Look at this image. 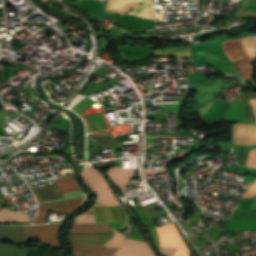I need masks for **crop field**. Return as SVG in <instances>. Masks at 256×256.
I'll return each mask as SVG.
<instances>
[{"instance_id":"obj_1","label":"crop field","mask_w":256,"mask_h":256,"mask_svg":"<svg viewBox=\"0 0 256 256\" xmlns=\"http://www.w3.org/2000/svg\"><path fill=\"white\" fill-rule=\"evenodd\" d=\"M111 229V228H110ZM107 224H73L69 233H111ZM112 234H69L71 244H104Z\"/></svg>"},{"instance_id":"obj_2","label":"crop field","mask_w":256,"mask_h":256,"mask_svg":"<svg viewBox=\"0 0 256 256\" xmlns=\"http://www.w3.org/2000/svg\"><path fill=\"white\" fill-rule=\"evenodd\" d=\"M224 52L228 58L233 61L248 56L250 62V55L243 44V40H227L222 42ZM247 58L241 59L235 63L236 67L241 71L245 79H253V69L251 63Z\"/></svg>"},{"instance_id":"obj_3","label":"crop field","mask_w":256,"mask_h":256,"mask_svg":"<svg viewBox=\"0 0 256 256\" xmlns=\"http://www.w3.org/2000/svg\"><path fill=\"white\" fill-rule=\"evenodd\" d=\"M129 1H134L142 4H151L150 0H129ZM129 1L109 0L106 5V11L122 15L132 9H135V11L130 14L155 20L152 6L141 5V4L129 2Z\"/></svg>"},{"instance_id":"obj_4","label":"crop field","mask_w":256,"mask_h":256,"mask_svg":"<svg viewBox=\"0 0 256 256\" xmlns=\"http://www.w3.org/2000/svg\"><path fill=\"white\" fill-rule=\"evenodd\" d=\"M102 205H119L104 177L92 167L85 171Z\"/></svg>"},{"instance_id":"obj_5","label":"crop field","mask_w":256,"mask_h":256,"mask_svg":"<svg viewBox=\"0 0 256 256\" xmlns=\"http://www.w3.org/2000/svg\"><path fill=\"white\" fill-rule=\"evenodd\" d=\"M160 238V247H175L188 250L174 224L156 227ZM189 251V250H188Z\"/></svg>"},{"instance_id":"obj_6","label":"crop field","mask_w":256,"mask_h":256,"mask_svg":"<svg viewBox=\"0 0 256 256\" xmlns=\"http://www.w3.org/2000/svg\"><path fill=\"white\" fill-rule=\"evenodd\" d=\"M83 197L61 201L57 203L47 204L40 206L39 210V217L33 224L43 223L48 210L55 211V212H67L75 210L82 202Z\"/></svg>"},{"instance_id":"obj_7","label":"crop field","mask_w":256,"mask_h":256,"mask_svg":"<svg viewBox=\"0 0 256 256\" xmlns=\"http://www.w3.org/2000/svg\"><path fill=\"white\" fill-rule=\"evenodd\" d=\"M74 256H112L118 247L106 248L105 245H72Z\"/></svg>"},{"instance_id":"obj_8","label":"crop field","mask_w":256,"mask_h":256,"mask_svg":"<svg viewBox=\"0 0 256 256\" xmlns=\"http://www.w3.org/2000/svg\"><path fill=\"white\" fill-rule=\"evenodd\" d=\"M96 223L120 221L127 225L126 216L120 207L95 208Z\"/></svg>"},{"instance_id":"obj_9","label":"crop field","mask_w":256,"mask_h":256,"mask_svg":"<svg viewBox=\"0 0 256 256\" xmlns=\"http://www.w3.org/2000/svg\"><path fill=\"white\" fill-rule=\"evenodd\" d=\"M248 124L233 126V144H247ZM248 144H256V125L249 124Z\"/></svg>"},{"instance_id":"obj_10","label":"crop field","mask_w":256,"mask_h":256,"mask_svg":"<svg viewBox=\"0 0 256 256\" xmlns=\"http://www.w3.org/2000/svg\"><path fill=\"white\" fill-rule=\"evenodd\" d=\"M62 224L36 226L37 240L60 248L58 232Z\"/></svg>"},{"instance_id":"obj_11","label":"crop field","mask_w":256,"mask_h":256,"mask_svg":"<svg viewBox=\"0 0 256 256\" xmlns=\"http://www.w3.org/2000/svg\"><path fill=\"white\" fill-rule=\"evenodd\" d=\"M135 171L136 170L120 169V167H117V168H110L107 174L109 175L113 184L118 188V190L123 195L124 188L127 185L130 178L135 173Z\"/></svg>"},{"instance_id":"obj_12","label":"crop field","mask_w":256,"mask_h":256,"mask_svg":"<svg viewBox=\"0 0 256 256\" xmlns=\"http://www.w3.org/2000/svg\"><path fill=\"white\" fill-rule=\"evenodd\" d=\"M0 240L8 241L17 246H23L22 226H0Z\"/></svg>"},{"instance_id":"obj_13","label":"crop field","mask_w":256,"mask_h":256,"mask_svg":"<svg viewBox=\"0 0 256 256\" xmlns=\"http://www.w3.org/2000/svg\"><path fill=\"white\" fill-rule=\"evenodd\" d=\"M38 203L63 198L58 184L32 189Z\"/></svg>"},{"instance_id":"obj_14","label":"crop field","mask_w":256,"mask_h":256,"mask_svg":"<svg viewBox=\"0 0 256 256\" xmlns=\"http://www.w3.org/2000/svg\"><path fill=\"white\" fill-rule=\"evenodd\" d=\"M192 57H196L199 59H203L208 62H212L218 66H220L225 72L229 73H237L238 72L235 70L233 64L213 55L208 52H200V51H191Z\"/></svg>"},{"instance_id":"obj_15","label":"crop field","mask_w":256,"mask_h":256,"mask_svg":"<svg viewBox=\"0 0 256 256\" xmlns=\"http://www.w3.org/2000/svg\"><path fill=\"white\" fill-rule=\"evenodd\" d=\"M0 222H29V215L4 208L0 211Z\"/></svg>"},{"instance_id":"obj_16","label":"crop field","mask_w":256,"mask_h":256,"mask_svg":"<svg viewBox=\"0 0 256 256\" xmlns=\"http://www.w3.org/2000/svg\"><path fill=\"white\" fill-rule=\"evenodd\" d=\"M56 180L63 193L80 190L74 177L68 178V179L63 177V178H58Z\"/></svg>"},{"instance_id":"obj_17","label":"crop field","mask_w":256,"mask_h":256,"mask_svg":"<svg viewBox=\"0 0 256 256\" xmlns=\"http://www.w3.org/2000/svg\"><path fill=\"white\" fill-rule=\"evenodd\" d=\"M28 248H15L0 244V256H25Z\"/></svg>"},{"instance_id":"obj_18","label":"crop field","mask_w":256,"mask_h":256,"mask_svg":"<svg viewBox=\"0 0 256 256\" xmlns=\"http://www.w3.org/2000/svg\"><path fill=\"white\" fill-rule=\"evenodd\" d=\"M229 228H256V219H231Z\"/></svg>"},{"instance_id":"obj_19","label":"crop field","mask_w":256,"mask_h":256,"mask_svg":"<svg viewBox=\"0 0 256 256\" xmlns=\"http://www.w3.org/2000/svg\"><path fill=\"white\" fill-rule=\"evenodd\" d=\"M117 252H120L122 254L128 255V256H156L154 254L139 250L137 248L128 246L123 244Z\"/></svg>"},{"instance_id":"obj_20","label":"crop field","mask_w":256,"mask_h":256,"mask_svg":"<svg viewBox=\"0 0 256 256\" xmlns=\"http://www.w3.org/2000/svg\"><path fill=\"white\" fill-rule=\"evenodd\" d=\"M224 118H242L240 102H232Z\"/></svg>"},{"instance_id":"obj_21","label":"crop field","mask_w":256,"mask_h":256,"mask_svg":"<svg viewBox=\"0 0 256 256\" xmlns=\"http://www.w3.org/2000/svg\"><path fill=\"white\" fill-rule=\"evenodd\" d=\"M113 229V228H112ZM114 236L112 239H110L109 241H107L105 243L106 247H113V246H120L121 243L124 241L125 236L121 235L120 233H118L116 230H114Z\"/></svg>"},{"instance_id":"obj_22","label":"crop field","mask_w":256,"mask_h":256,"mask_svg":"<svg viewBox=\"0 0 256 256\" xmlns=\"http://www.w3.org/2000/svg\"><path fill=\"white\" fill-rule=\"evenodd\" d=\"M125 244H128V245H131V246H134V247H137V248H140L142 250H145V251H148V252H151V253H154L151 248L148 246L147 243H144V242H140V241H136V240H132V239H126L125 241ZM155 254V253H154Z\"/></svg>"},{"instance_id":"obj_23","label":"crop field","mask_w":256,"mask_h":256,"mask_svg":"<svg viewBox=\"0 0 256 256\" xmlns=\"http://www.w3.org/2000/svg\"><path fill=\"white\" fill-rule=\"evenodd\" d=\"M97 144L111 145V144H121L116 138L112 137H97L93 136Z\"/></svg>"},{"instance_id":"obj_24","label":"crop field","mask_w":256,"mask_h":256,"mask_svg":"<svg viewBox=\"0 0 256 256\" xmlns=\"http://www.w3.org/2000/svg\"><path fill=\"white\" fill-rule=\"evenodd\" d=\"M241 103L244 106L247 122L254 123L253 112H252V108H251L249 101L243 100V101H241Z\"/></svg>"},{"instance_id":"obj_25","label":"crop field","mask_w":256,"mask_h":256,"mask_svg":"<svg viewBox=\"0 0 256 256\" xmlns=\"http://www.w3.org/2000/svg\"><path fill=\"white\" fill-rule=\"evenodd\" d=\"M25 240H36L35 226H23Z\"/></svg>"},{"instance_id":"obj_26","label":"crop field","mask_w":256,"mask_h":256,"mask_svg":"<svg viewBox=\"0 0 256 256\" xmlns=\"http://www.w3.org/2000/svg\"><path fill=\"white\" fill-rule=\"evenodd\" d=\"M73 223H94L93 215H78Z\"/></svg>"},{"instance_id":"obj_27","label":"crop field","mask_w":256,"mask_h":256,"mask_svg":"<svg viewBox=\"0 0 256 256\" xmlns=\"http://www.w3.org/2000/svg\"><path fill=\"white\" fill-rule=\"evenodd\" d=\"M139 209L146 211L149 214L150 218L159 214L152 203L145 205L143 207H140Z\"/></svg>"},{"instance_id":"obj_28","label":"crop field","mask_w":256,"mask_h":256,"mask_svg":"<svg viewBox=\"0 0 256 256\" xmlns=\"http://www.w3.org/2000/svg\"><path fill=\"white\" fill-rule=\"evenodd\" d=\"M246 166L256 168V150L250 151Z\"/></svg>"},{"instance_id":"obj_29","label":"crop field","mask_w":256,"mask_h":256,"mask_svg":"<svg viewBox=\"0 0 256 256\" xmlns=\"http://www.w3.org/2000/svg\"><path fill=\"white\" fill-rule=\"evenodd\" d=\"M147 230L149 231V233L154 241V244L158 250L159 249V238H158V234L155 230V227H148Z\"/></svg>"},{"instance_id":"obj_30","label":"crop field","mask_w":256,"mask_h":256,"mask_svg":"<svg viewBox=\"0 0 256 256\" xmlns=\"http://www.w3.org/2000/svg\"><path fill=\"white\" fill-rule=\"evenodd\" d=\"M63 196H64V199L76 198V197L83 196V192L78 191V192L66 193V194H63ZM64 199H61V200H64ZM56 201H60V200H56ZM51 202H55V201H51ZM46 203H50V202H46ZM46 203H41V204H46Z\"/></svg>"},{"instance_id":"obj_31","label":"crop field","mask_w":256,"mask_h":256,"mask_svg":"<svg viewBox=\"0 0 256 256\" xmlns=\"http://www.w3.org/2000/svg\"><path fill=\"white\" fill-rule=\"evenodd\" d=\"M255 195H256V182L249 187V189L244 194L243 198L254 197Z\"/></svg>"},{"instance_id":"obj_32","label":"crop field","mask_w":256,"mask_h":256,"mask_svg":"<svg viewBox=\"0 0 256 256\" xmlns=\"http://www.w3.org/2000/svg\"><path fill=\"white\" fill-rule=\"evenodd\" d=\"M175 251V248H161L159 253L162 254L163 256H173Z\"/></svg>"},{"instance_id":"obj_33","label":"crop field","mask_w":256,"mask_h":256,"mask_svg":"<svg viewBox=\"0 0 256 256\" xmlns=\"http://www.w3.org/2000/svg\"><path fill=\"white\" fill-rule=\"evenodd\" d=\"M146 136H187L186 133L146 134Z\"/></svg>"},{"instance_id":"obj_34","label":"crop field","mask_w":256,"mask_h":256,"mask_svg":"<svg viewBox=\"0 0 256 256\" xmlns=\"http://www.w3.org/2000/svg\"><path fill=\"white\" fill-rule=\"evenodd\" d=\"M40 249L38 248H29L26 256H38Z\"/></svg>"},{"instance_id":"obj_35","label":"crop field","mask_w":256,"mask_h":256,"mask_svg":"<svg viewBox=\"0 0 256 256\" xmlns=\"http://www.w3.org/2000/svg\"><path fill=\"white\" fill-rule=\"evenodd\" d=\"M167 170L166 168H161V169H157V170H153V171H149V170H142V175H149V174H153V173H157V172H161V171H165Z\"/></svg>"},{"instance_id":"obj_36","label":"crop field","mask_w":256,"mask_h":256,"mask_svg":"<svg viewBox=\"0 0 256 256\" xmlns=\"http://www.w3.org/2000/svg\"><path fill=\"white\" fill-rule=\"evenodd\" d=\"M188 253V252H187ZM186 252L177 249L176 253L174 254V256H189V254H187Z\"/></svg>"},{"instance_id":"obj_37","label":"crop field","mask_w":256,"mask_h":256,"mask_svg":"<svg viewBox=\"0 0 256 256\" xmlns=\"http://www.w3.org/2000/svg\"><path fill=\"white\" fill-rule=\"evenodd\" d=\"M252 107H253V112H254V115H255V119H256V99H252V100H249Z\"/></svg>"},{"instance_id":"obj_38","label":"crop field","mask_w":256,"mask_h":256,"mask_svg":"<svg viewBox=\"0 0 256 256\" xmlns=\"http://www.w3.org/2000/svg\"><path fill=\"white\" fill-rule=\"evenodd\" d=\"M250 97H256V93H243L242 95V99Z\"/></svg>"},{"instance_id":"obj_39","label":"crop field","mask_w":256,"mask_h":256,"mask_svg":"<svg viewBox=\"0 0 256 256\" xmlns=\"http://www.w3.org/2000/svg\"><path fill=\"white\" fill-rule=\"evenodd\" d=\"M256 9V5H246L242 10Z\"/></svg>"},{"instance_id":"obj_40","label":"crop field","mask_w":256,"mask_h":256,"mask_svg":"<svg viewBox=\"0 0 256 256\" xmlns=\"http://www.w3.org/2000/svg\"><path fill=\"white\" fill-rule=\"evenodd\" d=\"M251 207H256V197H255V199H254L253 204H252Z\"/></svg>"},{"instance_id":"obj_41","label":"crop field","mask_w":256,"mask_h":256,"mask_svg":"<svg viewBox=\"0 0 256 256\" xmlns=\"http://www.w3.org/2000/svg\"><path fill=\"white\" fill-rule=\"evenodd\" d=\"M115 256H125V255H122V254L116 252Z\"/></svg>"},{"instance_id":"obj_42","label":"crop field","mask_w":256,"mask_h":256,"mask_svg":"<svg viewBox=\"0 0 256 256\" xmlns=\"http://www.w3.org/2000/svg\"><path fill=\"white\" fill-rule=\"evenodd\" d=\"M44 3L46 2V0H42Z\"/></svg>"},{"instance_id":"obj_43","label":"crop field","mask_w":256,"mask_h":256,"mask_svg":"<svg viewBox=\"0 0 256 256\" xmlns=\"http://www.w3.org/2000/svg\"><path fill=\"white\" fill-rule=\"evenodd\" d=\"M101 1H103V2H104V0H101Z\"/></svg>"},{"instance_id":"obj_44","label":"crop field","mask_w":256,"mask_h":256,"mask_svg":"<svg viewBox=\"0 0 256 256\" xmlns=\"http://www.w3.org/2000/svg\"><path fill=\"white\" fill-rule=\"evenodd\" d=\"M2 21H0V23H1Z\"/></svg>"},{"instance_id":"obj_45","label":"crop field","mask_w":256,"mask_h":256,"mask_svg":"<svg viewBox=\"0 0 256 256\" xmlns=\"http://www.w3.org/2000/svg\"><path fill=\"white\" fill-rule=\"evenodd\" d=\"M0 208H1V206H0Z\"/></svg>"}]
</instances>
